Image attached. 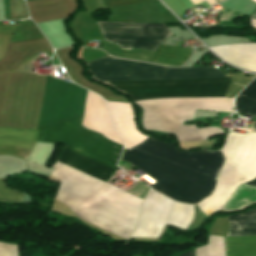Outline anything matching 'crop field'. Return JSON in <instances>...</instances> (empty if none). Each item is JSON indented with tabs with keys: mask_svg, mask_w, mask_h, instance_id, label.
I'll list each match as a JSON object with an SVG mask.
<instances>
[{
	"mask_svg": "<svg viewBox=\"0 0 256 256\" xmlns=\"http://www.w3.org/2000/svg\"><path fill=\"white\" fill-rule=\"evenodd\" d=\"M144 142L174 154L220 169L224 158L219 151L177 152L173 144L151 137ZM142 142L123 150V160L130 162L157 182L152 189L181 202L196 204L209 196L214 188L218 170L174 155Z\"/></svg>",
	"mask_w": 256,
	"mask_h": 256,
	"instance_id": "1",
	"label": "crop field"
},
{
	"mask_svg": "<svg viewBox=\"0 0 256 256\" xmlns=\"http://www.w3.org/2000/svg\"><path fill=\"white\" fill-rule=\"evenodd\" d=\"M51 175L62 180L55 199L79 217L127 238L133 230L142 199L55 161Z\"/></svg>",
	"mask_w": 256,
	"mask_h": 256,
	"instance_id": "2",
	"label": "crop field"
},
{
	"mask_svg": "<svg viewBox=\"0 0 256 256\" xmlns=\"http://www.w3.org/2000/svg\"><path fill=\"white\" fill-rule=\"evenodd\" d=\"M82 117L31 129H39L37 141L64 145L57 161L106 182L118 169L122 146L86 130Z\"/></svg>",
	"mask_w": 256,
	"mask_h": 256,
	"instance_id": "3",
	"label": "crop field"
},
{
	"mask_svg": "<svg viewBox=\"0 0 256 256\" xmlns=\"http://www.w3.org/2000/svg\"><path fill=\"white\" fill-rule=\"evenodd\" d=\"M237 113L256 117V79L247 86L235 101ZM256 133V125L253 129ZM228 133L222 153L226 160L218 176L212 196L197 204L200 210L211 215L218 212L236 187L256 178V134Z\"/></svg>",
	"mask_w": 256,
	"mask_h": 256,
	"instance_id": "4",
	"label": "crop field"
},
{
	"mask_svg": "<svg viewBox=\"0 0 256 256\" xmlns=\"http://www.w3.org/2000/svg\"><path fill=\"white\" fill-rule=\"evenodd\" d=\"M85 65L96 81L226 77L210 67L168 68L108 55Z\"/></svg>",
	"mask_w": 256,
	"mask_h": 256,
	"instance_id": "5",
	"label": "crop field"
},
{
	"mask_svg": "<svg viewBox=\"0 0 256 256\" xmlns=\"http://www.w3.org/2000/svg\"><path fill=\"white\" fill-rule=\"evenodd\" d=\"M230 78L102 82L132 101L160 97H223Z\"/></svg>",
	"mask_w": 256,
	"mask_h": 256,
	"instance_id": "6",
	"label": "crop field"
},
{
	"mask_svg": "<svg viewBox=\"0 0 256 256\" xmlns=\"http://www.w3.org/2000/svg\"><path fill=\"white\" fill-rule=\"evenodd\" d=\"M193 216L194 206L175 203L151 190L144 200L140 220L131 236L158 237L165 223L186 229Z\"/></svg>",
	"mask_w": 256,
	"mask_h": 256,
	"instance_id": "7",
	"label": "crop field"
},
{
	"mask_svg": "<svg viewBox=\"0 0 256 256\" xmlns=\"http://www.w3.org/2000/svg\"><path fill=\"white\" fill-rule=\"evenodd\" d=\"M105 40L120 48L155 51L171 35L165 25L97 22Z\"/></svg>",
	"mask_w": 256,
	"mask_h": 256,
	"instance_id": "8",
	"label": "crop field"
},
{
	"mask_svg": "<svg viewBox=\"0 0 256 256\" xmlns=\"http://www.w3.org/2000/svg\"><path fill=\"white\" fill-rule=\"evenodd\" d=\"M38 130L0 128V154L27 159L37 139Z\"/></svg>",
	"mask_w": 256,
	"mask_h": 256,
	"instance_id": "9",
	"label": "crop field"
},
{
	"mask_svg": "<svg viewBox=\"0 0 256 256\" xmlns=\"http://www.w3.org/2000/svg\"><path fill=\"white\" fill-rule=\"evenodd\" d=\"M210 49L237 67L256 71V44H231Z\"/></svg>",
	"mask_w": 256,
	"mask_h": 256,
	"instance_id": "10",
	"label": "crop field"
},
{
	"mask_svg": "<svg viewBox=\"0 0 256 256\" xmlns=\"http://www.w3.org/2000/svg\"><path fill=\"white\" fill-rule=\"evenodd\" d=\"M229 232L226 237L255 236L256 235V209L227 216Z\"/></svg>",
	"mask_w": 256,
	"mask_h": 256,
	"instance_id": "11",
	"label": "crop field"
},
{
	"mask_svg": "<svg viewBox=\"0 0 256 256\" xmlns=\"http://www.w3.org/2000/svg\"><path fill=\"white\" fill-rule=\"evenodd\" d=\"M192 51L160 45L152 62L162 65L181 66L190 57Z\"/></svg>",
	"mask_w": 256,
	"mask_h": 256,
	"instance_id": "12",
	"label": "crop field"
},
{
	"mask_svg": "<svg viewBox=\"0 0 256 256\" xmlns=\"http://www.w3.org/2000/svg\"><path fill=\"white\" fill-rule=\"evenodd\" d=\"M227 256H256V237L225 238Z\"/></svg>",
	"mask_w": 256,
	"mask_h": 256,
	"instance_id": "13",
	"label": "crop field"
},
{
	"mask_svg": "<svg viewBox=\"0 0 256 256\" xmlns=\"http://www.w3.org/2000/svg\"><path fill=\"white\" fill-rule=\"evenodd\" d=\"M22 193L7 187L4 178L0 179V201L19 202L22 199Z\"/></svg>",
	"mask_w": 256,
	"mask_h": 256,
	"instance_id": "14",
	"label": "crop field"
},
{
	"mask_svg": "<svg viewBox=\"0 0 256 256\" xmlns=\"http://www.w3.org/2000/svg\"><path fill=\"white\" fill-rule=\"evenodd\" d=\"M10 19L27 17V10L23 0H9Z\"/></svg>",
	"mask_w": 256,
	"mask_h": 256,
	"instance_id": "15",
	"label": "crop field"
},
{
	"mask_svg": "<svg viewBox=\"0 0 256 256\" xmlns=\"http://www.w3.org/2000/svg\"><path fill=\"white\" fill-rule=\"evenodd\" d=\"M105 8L117 7L122 5H128L138 2H144L149 0H102Z\"/></svg>",
	"mask_w": 256,
	"mask_h": 256,
	"instance_id": "16",
	"label": "crop field"
},
{
	"mask_svg": "<svg viewBox=\"0 0 256 256\" xmlns=\"http://www.w3.org/2000/svg\"><path fill=\"white\" fill-rule=\"evenodd\" d=\"M0 256H18L16 245L0 242Z\"/></svg>",
	"mask_w": 256,
	"mask_h": 256,
	"instance_id": "17",
	"label": "crop field"
},
{
	"mask_svg": "<svg viewBox=\"0 0 256 256\" xmlns=\"http://www.w3.org/2000/svg\"><path fill=\"white\" fill-rule=\"evenodd\" d=\"M194 5L206 1L210 7L218 4L215 0H191Z\"/></svg>",
	"mask_w": 256,
	"mask_h": 256,
	"instance_id": "18",
	"label": "crop field"
},
{
	"mask_svg": "<svg viewBox=\"0 0 256 256\" xmlns=\"http://www.w3.org/2000/svg\"><path fill=\"white\" fill-rule=\"evenodd\" d=\"M180 256H193V251L191 250V251H189L183 255H180Z\"/></svg>",
	"mask_w": 256,
	"mask_h": 256,
	"instance_id": "19",
	"label": "crop field"
},
{
	"mask_svg": "<svg viewBox=\"0 0 256 256\" xmlns=\"http://www.w3.org/2000/svg\"><path fill=\"white\" fill-rule=\"evenodd\" d=\"M247 185H252V186H256V179L251 181V182H248V183H245Z\"/></svg>",
	"mask_w": 256,
	"mask_h": 256,
	"instance_id": "20",
	"label": "crop field"
},
{
	"mask_svg": "<svg viewBox=\"0 0 256 256\" xmlns=\"http://www.w3.org/2000/svg\"><path fill=\"white\" fill-rule=\"evenodd\" d=\"M250 19L256 20V11L253 12V14L251 15Z\"/></svg>",
	"mask_w": 256,
	"mask_h": 256,
	"instance_id": "21",
	"label": "crop field"
},
{
	"mask_svg": "<svg viewBox=\"0 0 256 256\" xmlns=\"http://www.w3.org/2000/svg\"><path fill=\"white\" fill-rule=\"evenodd\" d=\"M218 2L222 1V0H217Z\"/></svg>",
	"mask_w": 256,
	"mask_h": 256,
	"instance_id": "22",
	"label": "crop field"
}]
</instances>
